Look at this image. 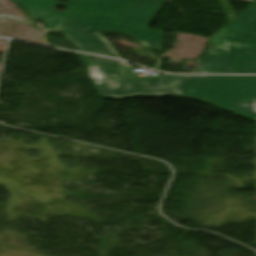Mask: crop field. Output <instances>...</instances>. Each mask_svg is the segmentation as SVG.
<instances>
[{"label":"crop field","instance_id":"1","mask_svg":"<svg viewBox=\"0 0 256 256\" xmlns=\"http://www.w3.org/2000/svg\"><path fill=\"white\" fill-rule=\"evenodd\" d=\"M86 60L100 94L116 98L138 94H179L208 100L256 120V76L164 74L163 79L137 77L122 61L88 55Z\"/></svg>","mask_w":256,"mask_h":256},{"label":"crop field","instance_id":"2","mask_svg":"<svg viewBox=\"0 0 256 256\" xmlns=\"http://www.w3.org/2000/svg\"><path fill=\"white\" fill-rule=\"evenodd\" d=\"M163 0H71L77 6L62 28L66 37L83 51L119 55L99 34H125L147 48L161 50L162 31L146 29Z\"/></svg>","mask_w":256,"mask_h":256},{"label":"crop field","instance_id":"3","mask_svg":"<svg viewBox=\"0 0 256 256\" xmlns=\"http://www.w3.org/2000/svg\"><path fill=\"white\" fill-rule=\"evenodd\" d=\"M202 73L256 74V4L210 38ZM249 50L250 53H246Z\"/></svg>","mask_w":256,"mask_h":256},{"label":"crop field","instance_id":"4","mask_svg":"<svg viewBox=\"0 0 256 256\" xmlns=\"http://www.w3.org/2000/svg\"><path fill=\"white\" fill-rule=\"evenodd\" d=\"M13 2L26 8L31 17L45 21L47 30H58L62 23L73 11V7L53 0H13ZM60 4L68 7L63 14H57L52 10L55 5Z\"/></svg>","mask_w":256,"mask_h":256}]
</instances>
